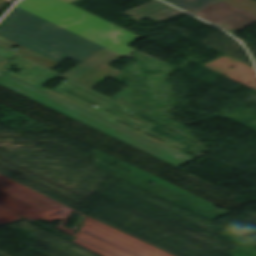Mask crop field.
Instances as JSON below:
<instances>
[{
  "mask_svg": "<svg viewBox=\"0 0 256 256\" xmlns=\"http://www.w3.org/2000/svg\"><path fill=\"white\" fill-rule=\"evenodd\" d=\"M4 72L0 71V76ZM3 77V76H2ZM0 84L38 102L52 107L66 115H69L81 122H84L98 130H101L113 137H116L130 145H133L159 159H162L174 166H177L189 159L172 152L158 144H155L141 136H138L124 128H121L109 121H106L92 113H89L75 105H72L58 97H55L41 89L16 79L8 74L0 79Z\"/></svg>",
  "mask_w": 256,
  "mask_h": 256,
  "instance_id": "crop-field-3",
  "label": "crop field"
},
{
  "mask_svg": "<svg viewBox=\"0 0 256 256\" xmlns=\"http://www.w3.org/2000/svg\"><path fill=\"white\" fill-rule=\"evenodd\" d=\"M25 11L94 41L122 56L135 50L128 46L139 36L63 0H26Z\"/></svg>",
  "mask_w": 256,
  "mask_h": 256,
  "instance_id": "crop-field-2",
  "label": "crop field"
},
{
  "mask_svg": "<svg viewBox=\"0 0 256 256\" xmlns=\"http://www.w3.org/2000/svg\"><path fill=\"white\" fill-rule=\"evenodd\" d=\"M236 7L256 15V1L254 0H224Z\"/></svg>",
  "mask_w": 256,
  "mask_h": 256,
  "instance_id": "crop-field-5",
  "label": "crop field"
},
{
  "mask_svg": "<svg viewBox=\"0 0 256 256\" xmlns=\"http://www.w3.org/2000/svg\"><path fill=\"white\" fill-rule=\"evenodd\" d=\"M227 30H239L256 22L249 14L221 0H165ZM230 25L229 28L221 24Z\"/></svg>",
  "mask_w": 256,
  "mask_h": 256,
  "instance_id": "crop-field-4",
  "label": "crop field"
},
{
  "mask_svg": "<svg viewBox=\"0 0 256 256\" xmlns=\"http://www.w3.org/2000/svg\"><path fill=\"white\" fill-rule=\"evenodd\" d=\"M7 0H0V9H2L3 7H5L6 5L2 4L3 2H5Z\"/></svg>",
  "mask_w": 256,
  "mask_h": 256,
  "instance_id": "crop-field-6",
  "label": "crop field"
},
{
  "mask_svg": "<svg viewBox=\"0 0 256 256\" xmlns=\"http://www.w3.org/2000/svg\"><path fill=\"white\" fill-rule=\"evenodd\" d=\"M23 1H24V0H22L21 2H19V4L17 5V7L22 8L23 5H20V4H21Z\"/></svg>",
  "mask_w": 256,
  "mask_h": 256,
  "instance_id": "crop-field-7",
  "label": "crop field"
},
{
  "mask_svg": "<svg viewBox=\"0 0 256 256\" xmlns=\"http://www.w3.org/2000/svg\"><path fill=\"white\" fill-rule=\"evenodd\" d=\"M9 14L12 17L0 36L58 63L68 57L82 63L64 77L92 89L119 72L107 65L120 55L17 7Z\"/></svg>",
  "mask_w": 256,
  "mask_h": 256,
  "instance_id": "crop-field-1",
  "label": "crop field"
},
{
  "mask_svg": "<svg viewBox=\"0 0 256 256\" xmlns=\"http://www.w3.org/2000/svg\"><path fill=\"white\" fill-rule=\"evenodd\" d=\"M65 1H67V2L71 3V2H73V1H75V0H65Z\"/></svg>",
  "mask_w": 256,
  "mask_h": 256,
  "instance_id": "crop-field-8",
  "label": "crop field"
}]
</instances>
